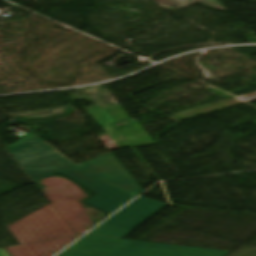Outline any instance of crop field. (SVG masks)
<instances>
[{
    "label": "crop field",
    "instance_id": "dd49c442",
    "mask_svg": "<svg viewBox=\"0 0 256 256\" xmlns=\"http://www.w3.org/2000/svg\"><path fill=\"white\" fill-rule=\"evenodd\" d=\"M106 108L112 113V115L118 121L130 119L129 116L124 112V110L120 107L119 104L107 106Z\"/></svg>",
    "mask_w": 256,
    "mask_h": 256
},
{
    "label": "crop field",
    "instance_id": "e52e79f7",
    "mask_svg": "<svg viewBox=\"0 0 256 256\" xmlns=\"http://www.w3.org/2000/svg\"><path fill=\"white\" fill-rule=\"evenodd\" d=\"M0 256H10V255L5 251L4 248H1L0 249Z\"/></svg>",
    "mask_w": 256,
    "mask_h": 256
},
{
    "label": "crop field",
    "instance_id": "34b2d1b8",
    "mask_svg": "<svg viewBox=\"0 0 256 256\" xmlns=\"http://www.w3.org/2000/svg\"><path fill=\"white\" fill-rule=\"evenodd\" d=\"M126 246L111 256H224L228 252L117 239Z\"/></svg>",
    "mask_w": 256,
    "mask_h": 256
},
{
    "label": "crop field",
    "instance_id": "412701ff",
    "mask_svg": "<svg viewBox=\"0 0 256 256\" xmlns=\"http://www.w3.org/2000/svg\"><path fill=\"white\" fill-rule=\"evenodd\" d=\"M167 204L139 197L104 223L126 229L118 237L121 238L149 217L164 208Z\"/></svg>",
    "mask_w": 256,
    "mask_h": 256
},
{
    "label": "crop field",
    "instance_id": "ac0d7876",
    "mask_svg": "<svg viewBox=\"0 0 256 256\" xmlns=\"http://www.w3.org/2000/svg\"><path fill=\"white\" fill-rule=\"evenodd\" d=\"M122 231L102 223L57 256H110L125 246L114 239Z\"/></svg>",
    "mask_w": 256,
    "mask_h": 256
},
{
    "label": "crop field",
    "instance_id": "8a807250",
    "mask_svg": "<svg viewBox=\"0 0 256 256\" xmlns=\"http://www.w3.org/2000/svg\"><path fill=\"white\" fill-rule=\"evenodd\" d=\"M9 152L33 182L60 173L96 193L85 204L108 215L142 192L112 154L77 168L34 137Z\"/></svg>",
    "mask_w": 256,
    "mask_h": 256
},
{
    "label": "crop field",
    "instance_id": "f4fd0767",
    "mask_svg": "<svg viewBox=\"0 0 256 256\" xmlns=\"http://www.w3.org/2000/svg\"><path fill=\"white\" fill-rule=\"evenodd\" d=\"M88 111L120 149L154 142L139 123L132 124V127L129 128L116 130L110 123L114 121L102 107L89 109Z\"/></svg>",
    "mask_w": 256,
    "mask_h": 256
}]
</instances>
